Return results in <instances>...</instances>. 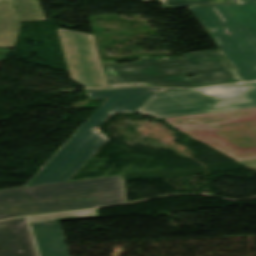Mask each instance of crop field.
<instances>
[{"instance_id":"crop-field-1","label":"crop field","mask_w":256,"mask_h":256,"mask_svg":"<svg viewBox=\"0 0 256 256\" xmlns=\"http://www.w3.org/2000/svg\"><path fill=\"white\" fill-rule=\"evenodd\" d=\"M206 57L211 59L206 60ZM102 64L109 88L140 85L199 87L242 81L220 49L184 54L182 58L158 56L120 65L114 62ZM189 73L196 77L185 79Z\"/></svg>"},{"instance_id":"crop-field-2","label":"crop field","mask_w":256,"mask_h":256,"mask_svg":"<svg viewBox=\"0 0 256 256\" xmlns=\"http://www.w3.org/2000/svg\"><path fill=\"white\" fill-rule=\"evenodd\" d=\"M175 89L132 88L119 90H85L91 100L108 98L66 144L25 186L67 181L108 140L94 131L111 114L136 112L154 93Z\"/></svg>"},{"instance_id":"crop-field-3","label":"crop field","mask_w":256,"mask_h":256,"mask_svg":"<svg viewBox=\"0 0 256 256\" xmlns=\"http://www.w3.org/2000/svg\"><path fill=\"white\" fill-rule=\"evenodd\" d=\"M256 107V82L154 93L137 111L157 119Z\"/></svg>"},{"instance_id":"crop-field-4","label":"crop field","mask_w":256,"mask_h":256,"mask_svg":"<svg viewBox=\"0 0 256 256\" xmlns=\"http://www.w3.org/2000/svg\"><path fill=\"white\" fill-rule=\"evenodd\" d=\"M97 195L98 207L126 202L122 176L0 191V206Z\"/></svg>"},{"instance_id":"crop-field-5","label":"crop field","mask_w":256,"mask_h":256,"mask_svg":"<svg viewBox=\"0 0 256 256\" xmlns=\"http://www.w3.org/2000/svg\"><path fill=\"white\" fill-rule=\"evenodd\" d=\"M222 6L242 33L211 37L243 81L256 80V2Z\"/></svg>"},{"instance_id":"crop-field-6","label":"crop field","mask_w":256,"mask_h":256,"mask_svg":"<svg viewBox=\"0 0 256 256\" xmlns=\"http://www.w3.org/2000/svg\"><path fill=\"white\" fill-rule=\"evenodd\" d=\"M57 30L70 79L86 88H108L94 36Z\"/></svg>"},{"instance_id":"crop-field-7","label":"crop field","mask_w":256,"mask_h":256,"mask_svg":"<svg viewBox=\"0 0 256 256\" xmlns=\"http://www.w3.org/2000/svg\"><path fill=\"white\" fill-rule=\"evenodd\" d=\"M99 217L98 209L0 222V256H37L28 224Z\"/></svg>"},{"instance_id":"crop-field-8","label":"crop field","mask_w":256,"mask_h":256,"mask_svg":"<svg viewBox=\"0 0 256 256\" xmlns=\"http://www.w3.org/2000/svg\"><path fill=\"white\" fill-rule=\"evenodd\" d=\"M91 207H97L96 196L0 207V220Z\"/></svg>"},{"instance_id":"crop-field-9","label":"crop field","mask_w":256,"mask_h":256,"mask_svg":"<svg viewBox=\"0 0 256 256\" xmlns=\"http://www.w3.org/2000/svg\"><path fill=\"white\" fill-rule=\"evenodd\" d=\"M31 225L41 256H69L59 222Z\"/></svg>"},{"instance_id":"crop-field-10","label":"crop field","mask_w":256,"mask_h":256,"mask_svg":"<svg viewBox=\"0 0 256 256\" xmlns=\"http://www.w3.org/2000/svg\"><path fill=\"white\" fill-rule=\"evenodd\" d=\"M203 28L208 27L212 34L240 32L221 5L189 8Z\"/></svg>"},{"instance_id":"crop-field-11","label":"crop field","mask_w":256,"mask_h":256,"mask_svg":"<svg viewBox=\"0 0 256 256\" xmlns=\"http://www.w3.org/2000/svg\"><path fill=\"white\" fill-rule=\"evenodd\" d=\"M20 24L12 0H0V48H14Z\"/></svg>"},{"instance_id":"crop-field-12","label":"crop field","mask_w":256,"mask_h":256,"mask_svg":"<svg viewBox=\"0 0 256 256\" xmlns=\"http://www.w3.org/2000/svg\"><path fill=\"white\" fill-rule=\"evenodd\" d=\"M22 22L46 20L38 0H13Z\"/></svg>"},{"instance_id":"crop-field-13","label":"crop field","mask_w":256,"mask_h":256,"mask_svg":"<svg viewBox=\"0 0 256 256\" xmlns=\"http://www.w3.org/2000/svg\"><path fill=\"white\" fill-rule=\"evenodd\" d=\"M151 1V0H143ZM163 9L215 4L214 0H160Z\"/></svg>"},{"instance_id":"crop-field-14","label":"crop field","mask_w":256,"mask_h":256,"mask_svg":"<svg viewBox=\"0 0 256 256\" xmlns=\"http://www.w3.org/2000/svg\"><path fill=\"white\" fill-rule=\"evenodd\" d=\"M216 4H226V3H236L241 2V0H215Z\"/></svg>"},{"instance_id":"crop-field-15","label":"crop field","mask_w":256,"mask_h":256,"mask_svg":"<svg viewBox=\"0 0 256 256\" xmlns=\"http://www.w3.org/2000/svg\"><path fill=\"white\" fill-rule=\"evenodd\" d=\"M250 1H256V0H242V2H250Z\"/></svg>"}]
</instances>
